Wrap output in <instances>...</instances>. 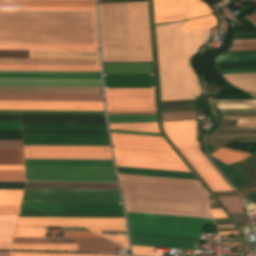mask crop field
I'll return each instance as SVG.
<instances>
[{
	"instance_id": "19",
	"label": "crop field",
	"mask_w": 256,
	"mask_h": 256,
	"mask_svg": "<svg viewBox=\"0 0 256 256\" xmlns=\"http://www.w3.org/2000/svg\"><path fill=\"white\" fill-rule=\"evenodd\" d=\"M115 158L183 164L174 151L113 146Z\"/></svg>"
},
{
	"instance_id": "3",
	"label": "crop field",
	"mask_w": 256,
	"mask_h": 256,
	"mask_svg": "<svg viewBox=\"0 0 256 256\" xmlns=\"http://www.w3.org/2000/svg\"><path fill=\"white\" fill-rule=\"evenodd\" d=\"M99 9L103 61H152L147 2Z\"/></svg>"
},
{
	"instance_id": "88",
	"label": "crop field",
	"mask_w": 256,
	"mask_h": 256,
	"mask_svg": "<svg viewBox=\"0 0 256 256\" xmlns=\"http://www.w3.org/2000/svg\"><path fill=\"white\" fill-rule=\"evenodd\" d=\"M211 201H215V200H211Z\"/></svg>"
},
{
	"instance_id": "64",
	"label": "crop field",
	"mask_w": 256,
	"mask_h": 256,
	"mask_svg": "<svg viewBox=\"0 0 256 256\" xmlns=\"http://www.w3.org/2000/svg\"><path fill=\"white\" fill-rule=\"evenodd\" d=\"M132 248H133L134 254L154 255V256H160L161 254V253H152V249H155V248L137 247V246H132Z\"/></svg>"
},
{
	"instance_id": "1",
	"label": "crop field",
	"mask_w": 256,
	"mask_h": 256,
	"mask_svg": "<svg viewBox=\"0 0 256 256\" xmlns=\"http://www.w3.org/2000/svg\"><path fill=\"white\" fill-rule=\"evenodd\" d=\"M211 30L184 31L183 22L156 26L161 101L202 95L190 60L209 39Z\"/></svg>"
},
{
	"instance_id": "32",
	"label": "crop field",
	"mask_w": 256,
	"mask_h": 256,
	"mask_svg": "<svg viewBox=\"0 0 256 256\" xmlns=\"http://www.w3.org/2000/svg\"><path fill=\"white\" fill-rule=\"evenodd\" d=\"M117 166L190 172L185 165L115 159Z\"/></svg>"
},
{
	"instance_id": "6",
	"label": "crop field",
	"mask_w": 256,
	"mask_h": 256,
	"mask_svg": "<svg viewBox=\"0 0 256 256\" xmlns=\"http://www.w3.org/2000/svg\"><path fill=\"white\" fill-rule=\"evenodd\" d=\"M123 196L208 203L203 187L120 180Z\"/></svg>"
},
{
	"instance_id": "17",
	"label": "crop field",
	"mask_w": 256,
	"mask_h": 256,
	"mask_svg": "<svg viewBox=\"0 0 256 256\" xmlns=\"http://www.w3.org/2000/svg\"><path fill=\"white\" fill-rule=\"evenodd\" d=\"M155 16L190 12L188 19L210 15L211 8L200 0H154Z\"/></svg>"
},
{
	"instance_id": "72",
	"label": "crop field",
	"mask_w": 256,
	"mask_h": 256,
	"mask_svg": "<svg viewBox=\"0 0 256 256\" xmlns=\"http://www.w3.org/2000/svg\"><path fill=\"white\" fill-rule=\"evenodd\" d=\"M232 216L237 222L247 221V219L245 218V213L232 214Z\"/></svg>"
},
{
	"instance_id": "84",
	"label": "crop field",
	"mask_w": 256,
	"mask_h": 256,
	"mask_svg": "<svg viewBox=\"0 0 256 256\" xmlns=\"http://www.w3.org/2000/svg\"><path fill=\"white\" fill-rule=\"evenodd\" d=\"M240 195L243 197V199L246 198V192H242V193H240Z\"/></svg>"
},
{
	"instance_id": "34",
	"label": "crop field",
	"mask_w": 256,
	"mask_h": 256,
	"mask_svg": "<svg viewBox=\"0 0 256 256\" xmlns=\"http://www.w3.org/2000/svg\"><path fill=\"white\" fill-rule=\"evenodd\" d=\"M18 216H0V249H10Z\"/></svg>"
},
{
	"instance_id": "7",
	"label": "crop field",
	"mask_w": 256,
	"mask_h": 256,
	"mask_svg": "<svg viewBox=\"0 0 256 256\" xmlns=\"http://www.w3.org/2000/svg\"><path fill=\"white\" fill-rule=\"evenodd\" d=\"M129 229L200 235L212 220L127 213Z\"/></svg>"
},
{
	"instance_id": "54",
	"label": "crop field",
	"mask_w": 256,
	"mask_h": 256,
	"mask_svg": "<svg viewBox=\"0 0 256 256\" xmlns=\"http://www.w3.org/2000/svg\"><path fill=\"white\" fill-rule=\"evenodd\" d=\"M197 111L163 113V121L196 119Z\"/></svg>"
},
{
	"instance_id": "29",
	"label": "crop field",
	"mask_w": 256,
	"mask_h": 256,
	"mask_svg": "<svg viewBox=\"0 0 256 256\" xmlns=\"http://www.w3.org/2000/svg\"><path fill=\"white\" fill-rule=\"evenodd\" d=\"M104 74L152 73V63H103Z\"/></svg>"
},
{
	"instance_id": "49",
	"label": "crop field",
	"mask_w": 256,
	"mask_h": 256,
	"mask_svg": "<svg viewBox=\"0 0 256 256\" xmlns=\"http://www.w3.org/2000/svg\"><path fill=\"white\" fill-rule=\"evenodd\" d=\"M23 190H0V195H22ZM22 196H0V206H20Z\"/></svg>"
},
{
	"instance_id": "65",
	"label": "crop field",
	"mask_w": 256,
	"mask_h": 256,
	"mask_svg": "<svg viewBox=\"0 0 256 256\" xmlns=\"http://www.w3.org/2000/svg\"><path fill=\"white\" fill-rule=\"evenodd\" d=\"M254 49H256V43H244V44H235V46H232L230 51L254 50Z\"/></svg>"
},
{
	"instance_id": "23",
	"label": "crop field",
	"mask_w": 256,
	"mask_h": 256,
	"mask_svg": "<svg viewBox=\"0 0 256 256\" xmlns=\"http://www.w3.org/2000/svg\"><path fill=\"white\" fill-rule=\"evenodd\" d=\"M0 85L101 86V79L0 78Z\"/></svg>"
},
{
	"instance_id": "51",
	"label": "crop field",
	"mask_w": 256,
	"mask_h": 256,
	"mask_svg": "<svg viewBox=\"0 0 256 256\" xmlns=\"http://www.w3.org/2000/svg\"><path fill=\"white\" fill-rule=\"evenodd\" d=\"M230 213L244 212L242 202L238 196L218 197Z\"/></svg>"
},
{
	"instance_id": "75",
	"label": "crop field",
	"mask_w": 256,
	"mask_h": 256,
	"mask_svg": "<svg viewBox=\"0 0 256 256\" xmlns=\"http://www.w3.org/2000/svg\"><path fill=\"white\" fill-rule=\"evenodd\" d=\"M248 21H250L252 23L253 26L256 27V11L254 13H252L251 15H249L247 18Z\"/></svg>"
},
{
	"instance_id": "18",
	"label": "crop field",
	"mask_w": 256,
	"mask_h": 256,
	"mask_svg": "<svg viewBox=\"0 0 256 256\" xmlns=\"http://www.w3.org/2000/svg\"><path fill=\"white\" fill-rule=\"evenodd\" d=\"M76 241V242H47ZM14 243H78L77 251L115 253L123 247L104 238H15Z\"/></svg>"
},
{
	"instance_id": "30",
	"label": "crop field",
	"mask_w": 256,
	"mask_h": 256,
	"mask_svg": "<svg viewBox=\"0 0 256 256\" xmlns=\"http://www.w3.org/2000/svg\"><path fill=\"white\" fill-rule=\"evenodd\" d=\"M25 188L118 189L116 183H27Z\"/></svg>"
},
{
	"instance_id": "15",
	"label": "crop field",
	"mask_w": 256,
	"mask_h": 256,
	"mask_svg": "<svg viewBox=\"0 0 256 256\" xmlns=\"http://www.w3.org/2000/svg\"><path fill=\"white\" fill-rule=\"evenodd\" d=\"M3 110L104 111L103 102L0 101Z\"/></svg>"
},
{
	"instance_id": "80",
	"label": "crop field",
	"mask_w": 256,
	"mask_h": 256,
	"mask_svg": "<svg viewBox=\"0 0 256 256\" xmlns=\"http://www.w3.org/2000/svg\"><path fill=\"white\" fill-rule=\"evenodd\" d=\"M244 161L250 162L252 163L254 166H256V163H254L251 159H249L248 157L246 159H244Z\"/></svg>"
},
{
	"instance_id": "47",
	"label": "crop field",
	"mask_w": 256,
	"mask_h": 256,
	"mask_svg": "<svg viewBox=\"0 0 256 256\" xmlns=\"http://www.w3.org/2000/svg\"><path fill=\"white\" fill-rule=\"evenodd\" d=\"M23 129L107 130L106 126L22 125Z\"/></svg>"
},
{
	"instance_id": "16",
	"label": "crop field",
	"mask_w": 256,
	"mask_h": 256,
	"mask_svg": "<svg viewBox=\"0 0 256 256\" xmlns=\"http://www.w3.org/2000/svg\"><path fill=\"white\" fill-rule=\"evenodd\" d=\"M0 3L95 4V1L0 0ZM0 4V10L96 11L95 5Z\"/></svg>"
},
{
	"instance_id": "52",
	"label": "crop field",
	"mask_w": 256,
	"mask_h": 256,
	"mask_svg": "<svg viewBox=\"0 0 256 256\" xmlns=\"http://www.w3.org/2000/svg\"><path fill=\"white\" fill-rule=\"evenodd\" d=\"M218 70L256 68V61L217 63Z\"/></svg>"
},
{
	"instance_id": "37",
	"label": "crop field",
	"mask_w": 256,
	"mask_h": 256,
	"mask_svg": "<svg viewBox=\"0 0 256 256\" xmlns=\"http://www.w3.org/2000/svg\"><path fill=\"white\" fill-rule=\"evenodd\" d=\"M22 120H105L104 115H22Z\"/></svg>"
},
{
	"instance_id": "2",
	"label": "crop field",
	"mask_w": 256,
	"mask_h": 256,
	"mask_svg": "<svg viewBox=\"0 0 256 256\" xmlns=\"http://www.w3.org/2000/svg\"><path fill=\"white\" fill-rule=\"evenodd\" d=\"M0 42L98 43L96 13L0 12Z\"/></svg>"
},
{
	"instance_id": "44",
	"label": "crop field",
	"mask_w": 256,
	"mask_h": 256,
	"mask_svg": "<svg viewBox=\"0 0 256 256\" xmlns=\"http://www.w3.org/2000/svg\"><path fill=\"white\" fill-rule=\"evenodd\" d=\"M0 170H24V166H0ZM0 181H25L24 171H0Z\"/></svg>"
},
{
	"instance_id": "4",
	"label": "crop field",
	"mask_w": 256,
	"mask_h": 256,
	"mask_svg": "<svg viewBox=\"0 0 256 256\" xmlns=\"http://www.w3.org/2000/svg\"><path fill=\"white\" fill-rule=\"evenodd\" d=\"M19 217L124 218L121 204L22 203Z\"/></svg>"
},
{
	"instance_id": "46",
	"label": "crop field",
	"mask_w": 256,
	"mask_h": 256,
	"mask_svg": "<svg viewBox=\"0 0 256 256\" xmlns=\"http://www.w3.org/2000/svg\"><path fill=\"white\" fill-rule=\"evenodd\" d=\"M109 123L156 121V115H108Z\"/></svg>"
},
{
	"instance_id": "77",
	"label": "crop field",
	"mask_w": 256,
	"mask_h": 256,
	"mask_svg": "<svg viewBox=\"0 0 256 256\" xmlns=\"http://www.w3.org/2000/svg\"><path fill=\"white\" fill-rule=\"evenodd\" d=\"M247 199H249V200H251L252 202L256 203V192L249 193Z\"/></svg>"
},
{
	"instance_id": "9",
	"label": "crop field",
	"mask_w": 256,
	"mask_h": 256,
	"mask_svg": "<svg viewBox=\"0 0 256 256\" xmlns=\"http://www.w3.org/2000/svg\"><path fill=\"white\" fill-rule=\"evenodd\" d=\"M24 194L119 195L118 190L25 189ZM22 202L121 203L119 196L24 195Z\"/></svg>"
},
{
	"instance_id": "39",
	"label": "crop field",
	"mask_w": 256,
	"mask_h": 256,
	"mask_svg": "<svg viewBox=\"0 0 256 256\" xmlns=\"http://www.w3.org/2000/svg\"><path fill=\"white\" fill-rule=\"evenodd\" d=\"M118 175H119L120 179H125V180H137V181H149V182H161V183H173V184L201 186L198 181H192V180H180V179L157 178V177L123 175V174H118Z\"/></svg>"
},
{
	"instance_id": "42",
	"label": "crop field",
	"mask_w": 256,
	"mask_h": 256,
	"mask_svg": "<svg viewBox=\"0 0 256 256\" xmlns=\"http://www.w3.org/2000/svg\"><path fill=\"white\" fill-rule=\"evenodd\" d=\"M221 172L230 180L234 187L241 186L240 183H245L238 171L230 165H226L217 159L209 156Z\"/></svg>"
},
{
	"instance_id": "55",
	"label": "crop field",
	"mask_w": 256,
	"mask_h": 256,
	"mask_svg": "<svg viewBox=\"0 0 256 256\" xmlns=\"http://www.w3.org/2000/svg\"><path fill=\"white\" fill-rule=\"evenodd\" d=\"M4 74H68V75H100V72H36V71H0Z\"/></svg>"
},
{
	"instance_id": "8",
	"label": "crop field",
	"mask_w": 256,
	"mask_h": 256,
	"mask_svg": "<svg viewBox=\"0 0 256 256\" xmlns=\"http://www.w3.org/2000/svg\"><path fill=\"white\" fill-rule=\"evenodd\" d=\"M127 211L212 219L208 204L123 197Z\"/></svg>"
},
{
	"instance_id": "67",
	"label": "crop field",
	"mask_w": 256,
	"mask_h": 256,
	"mask_svg": "<svg viewBox=\"0 0 256 256\" xmlns=\"http://www.w3.org/2000/svg\"><path fill=\"white\" fill-rule=\"evenodd\" d=\"M0 148H22V141H0Z\"/></svg>"
},
{
	"instance_id": "76",
	"label": "crop field",
	"mask_w": 256,
	"mask_h": 256,
	"mask_svg": "<svg viewBox=\"0 0 256 256\" xmlns=\"http://www.w3.org/2000/svg\"><path fill=\"white\" fill-rule=\"evenodd\" d=\"M107 114H156V112L107 113Z\"/></svg>"
},
{
	"instance_id": "50",
	"label": "crop field",
	"mask_w": 256,
	"mask_h": 256,
	"mask_svg": "<svg viewBox=\"0 0 256 256\" xmlns=\"http://www.w3.org/2000/svg\"><path fill=\"white\" fill-rule=\"evenodd\" d=\"M216 27L214 15L185 22V30Z\"/></svg>"
},
{
	"instance_id": "22",
	"label": "crop field",
	"mask_w": 256,
	"mask_h": 256,
	"mask_svg": "<svg viewBox=\"0 0 256 256\" xmlns=\"http://www.w3.org/2000/svg\"><path fill=\"white\" fill-rule=\"evenodd\" d=\"M164 130L176 147L199 145L196 140L197 121L163 123Z\"/></svg>"
},
{
	"instance_id": "48",
	"label": "crop field",
	"mask_w": 256,
	"mask_h": 256,
	"mask_svg": "<svg viewBox=\"0 0 256 256\" xmlns=\"http://www.w3.org/2000/svg\"><path fill=\"white\" fill-rule=\"evenodd\" d=\"M110 129L159 133L157 123L109 125Z\"/></svg>"
},
{
	"instance_id": "73",
	"label": "crop field",
	"mask_w": 256,
	"mask_h": 256,
	"mask_svg": "<svg viewBox=\"0 0 256 256\" xmlns=\"http://www.w3.org/2000/svg\"><path fill=\"white\" fill-rule=\"evenodd\" d=\"M135 1H147V0H99V3H111V2H135Z\"/></svg>"
},
{
	"instance_id": "13",
	"label": "crop field",
	"mask_w": 256,
	"mask_h": 256,
	"mask_svg": "<svg viewBox=\"0 0 256 256\" xmlns=\"http://www.w3.org/2000/svg\"><path fill=\"white\" fill-rule=\"evenodd\" d=\"M130 231L132 245L164 247L175 249H193L194 244L200 236L146 232V231Z\"/></svg>"
},
{
	"instance_id": "40",
	"label": "crop field",
	"mask_w": 256,
	"mask_h": 256,
	"mask_svg": "<svg viewBox=\"0 0 256 256\" xmlns=\"http://www.w3.org/2000/svg\"><path fill=\"white\" fill-rule=\"evenodd\" d=\"M77 244H14L12 249L20 250H72Z\"/></svg>"
},
{
	"instance_id": "38",
	"label": "crop field",
	"mask_w": 256,
	"mask_h": 256,
	"mask_svg": "<svg viewBox=\"0 0 256 256\" xmlns=\"http://www.w3.org/2000/svg\"><path fill=\"white\" fill-rule=\"evenodd\" d=\"M26 164L113 165L112 160H25Z\"/></svg>"
},
{
	"instance_id": "45",
	"label": "crop field",
	"mask_w": 256,
	"mask_h": 256,
	"mask_svg": "<svg viewBox=\"0 0 256 256\" xmlns=\"http://www.w3.org/2000/svg\"><path fill=\"white\" fill-rule=\"evenodd\" d=\"M29 227H72V226H29ZM85 228L91 231L97 232L99 234H101V231H126L125 227H85ZM105 237L119 244L125 245L129 248L127 237H124V236H105Z\"/></svg>"
},
{
	"instance_id": "24",
	"label": "crop field",
	"mask_w": 256,
	"mask_h": 256,
	"mask_svg": "<svg viewBox=\"0 0 256 256\" xmlns=\"http://www.w3.org/2000/svg\"><path fill=\"white\" fill-rule=\"evenodd\" d=\"M113 145L172 150L163 137L111 133Z\"/></svg>"
},
{
	"instance_id": "11",
	"label": "crop field",
	"mask_w": 256,
	"mask_h": 256,
	"mask_svg": "<svg viewBox=\"0 0 256 256\" xmlns=\"http://www.w3.org/2000/svg\"><path fill=\"white\" fill-rule=\"evenodd\" d=\"M25 159H112L109 147L24 146Z\"/></svg>"
},
{
	"instance_id": "20",
	"label": "crop field",
	"mask_w": 256,
	"mask_h": 256,
	"mask_svg": "<svg viewBox=\"0 0 256 256\" xmlns=\"http://www.w3.org/2000/svg\"><path fill=\"white\" fill-rule=\"evenodd\" d=\"M0 100L103 101L102 94L0 93Z\"/></svg>"
},
{
	"instance_id": "62",
	"label": "crop field",
	"mask_w": 256,
	"mask_h": 256,
	"mask_svg": "<svg viewBox=\"0 0 256 256\" xmlns=\"http://www.w3.org/2000/svg\"><path fill=\"white\" fill-rule=\"evenodd\" d=\"M0 140H22L21 131H0Z\"/></svg>"
},
{
	"instance_id": "81",
	"label": "crop field",
	"mask_w": 256,
	"mask_h": 256,
	"mask_svg": "<svg viewBox=\"0 0 256 256\" xmlns=\"http://www.w3.org/2000/svg\"><path fill=\"white\" fill-rule=\"evenodd\" d=\"M219 228H233L232 225H224V226H218Z\"/></svg>"
},
{
	"instance_id": "14",
	"label": "crop field",
	"mask_w": 256,
	"mask_h": 256,
	"mask_svg": "<svg viewBox=\"0 0 256 256\" xmlns=\"http://www.w3.org/2000/svg\"><path fill=\"white\" fill-rule=\"evenodd\" d=\"M200 146L178 148L212 191L233 190L205 157Z\"/></svg>"
},
{
	"instance_id": "28",
	"label": "crop field",
	"mask_w": 256,
	"mask_h": 256,
	"mask_svg": "<svg viewBox=\"0 0 256 256\" xmlns=\"http://www.w3.org/2000/svg\"><path fill=\"white\" fill-rule=\"evenodd\" d=\"M0 64H5V65L100 66L99 60H64V59H5V58H0Z\"/></svg>"
},
{
	"instance_id": "41",
	"label": "crop field",
	"mask_w": 256,
	"mask_h": 256,
	"mask_svg": "<svg viewBox=\"0 0 256 256\" xmlns=\"http://www.w3.org/2000/svg\"><path fill=\"white\" fill-rule=\"evenodd\" d=\"M0 165H24L22 149H0Z\"/></svg>"
},
{
	"instance_id": "12",
	"label": "crop field",
	"mask_w": 256,
	"mask_h": 256,
	"mask_svg": "<svg viewBox=\"0 0 256 256\" xmlns=\"http://www.w3.org/2000/svg\"><path fill=\"white\" fill-rule=\"evenodd\" d=\"M24 145L109 146L107 134H23Z\"/></svg>"
},
{
	"instance_id": "85",
	"label": "crop field",
	"mask_w": 256,
	"mask_h": 256,
	"mask_svg": "<svg viewBox=\"0 0 256 256\" xmlns=\"http://www.w3.org/2000/svg\"><path fill=\"white\" fill-rule=\"evenodd\" d=\"M95 256H108V255H97V254H95Z\"/></svg>"
},
{
	"instance_id": "86",
	"label": "crop field",
	"mask_w": 256,
	"mask_h": 256,
	"mask_svg": "<svg viewBox=\"0 0 256 256\" xmlns=\"http://www.w3.org/2000/svg\"><path fill=\"white\" fill-rule=\"evenodd\" d=\"M253 191H256V189H255V190H250V191H248V193H249V192H253Z\"/></svg>"
},
{
	"instance_id": "26",
	"label": "crop field",
	"mask_w": 256,
	"mask_h": 256,
	"mask_svg": "<svg viewBox=\"0 0 256 256\" xmlns=\"http://www.w3.org/2000/svg\"><path fill=\"white\" fill-rule=\"evenodd\" d=\"M105 88H153L152 74L104 75Z\"/></svg>"
},
{
	"instance_id": "31",
	"label": "crop field",
	"mask_w": 256,
	"mask_h": 256,
	"mask_svg": "<svg viewBox=\"0 0 256 256\" xmlns=\"http://www.w3.org/2000/svg\"><path fill=\"white\" fill-rule=\"evenodd\" d=\"M29 58L99 59V52L30 51Z\"/></svg>"
},
{
	"instance_id": "53",
	"label": "crop field",
	"mask_w": 256,
	"mask_h": 256,
	"mask_svg": "<svg viewBox=\"0 0 256 256\" xmlns=\"http://www.w3.org/2000/svg\"><path fill=\"white\" fill-rule=\"evenodd\" d=\"M15 237H46V229L17 227Z\"/></svg>"
},
{
	"instance_id": "61",
	"label": "crop field",
	"mask_w": 256,
	"mask_h": 256,
	"mask_svg": "<svg viewBox=\"0 0 256 256\" xmlns=\"http://www.w3.org/2000/svg\"><path fill=\"white\" fill-rule=\"evenodd\" d=\"M189 13L155 17L156 23L184 20Z\"/></svg>"
},
{
	"instance_id": "69",
	"label": "crop field",
	"mask_w": 256,
	"mask_h": 256,
	"mask_svg": "<svg viewBox=\"0 0 256 256\" xmlns=\"http://www.w3.org/2000/svg\"><path fill=\"white\" fill-rule=\"evenodd\" d=\"M211 213L214 218H227L222 209L211 210Z\"/></svg>"
},
{
	"instance_id": "59",
	"label": "crop field",
	"mask_w": 256,
	"mask_h": 256,
	"mask_svg": "<svg viewBox=\"0 0 256 256\" xmlns=\"http://www.w3.org/2000/svg\"><path fill=\"white\" fill-rule=\"evenodd\" d=\"M224 119H239L236 127H256V118L250 117H223Z\"/></svg>"
},
{
	"instance_id": "10",
	"label": "crop field",
	"mask_w": 256,
	"mask_h": 256,
	"mask_svg": "<svg viewBox=\"0 0 256 256\" xmlns=\"http://www.w3.org/2000/svg\"><path fill=\"white\" fill-rule=\"evenodd\" d=\"M107 112L156 111L154 89H105Z\"/></svg>"
},
{
	"instance_id": "56",
	"label": "crop field",
	"mask_w": 256,
	"mask_h": 256,
	"mask_svg": "<svg viewBox=\"0 0 256 256\" xmlns=\"http://www.w3.org/2000/svg\"><path fill=\"white\" fill-rule=\"evenodd\" d=\"M0 77H37V78H101L100 76H68V75H4Z\"/></svg>"
},
{
	"instance_id": "68",
	"label": "crop field",
	"mask_w": 256,
	"mask_h": 256,
	"mask_svg": "<svg viewBox=\"0 0 256 256\" xmlns=\"http://www.w3.org/2000/svg\"><path fill=\"white\" fill-rule=\"evenodd\" d=\"M20 207H0V215H18Z\"/></svg>"
},
{
	"instance_id": "66",
	"label": "crop field",
	"mask_w": 256,
	"mask_h": 256,
	"mask_svg": "<svg viewBox=\"0 0 256 256\" xmlns=\"http://www.w3.org/2000/svg\"><path fill=\"white\" fill-rule=\"evenodd\" d=\"M64 237H100L92 232H65Z\"/></svg>"
},
{
	"instance_id": "33",
	"label": "crop field",
	"mask_w": 256,
	"mask_h": 256,
	"mask_svg": "<svg viewBox=\"0 0 256 256\" xmlns=\"http://www.w3.org/2000/svg\"><path fill=\"white\" fill-rule=\"evenodd\" d=\"M118 173L196 180L192 173L117 167Z\"/></svg>"
},
{
	"instance_id": "71",
	"label": "crop field",
	"mask_w": 256,
	"mask_h": 256,
	"mask_svg": "<svg viewBox=\"0 0 256 256\" xmlns=\"http://www.w3.org/2000/svg\"><path fill=\"white\" fill-rule=\"evenodd\" d=\"M222 74H232V73H250L256 72L255 70H233V71H220Z\"/></svg>"
},
{
	"instance_id": "27",
	"label": "crop field",
	"mask_w": 256,
	"mask_h": 256,
	"mask_svg": "<svg viewBox=\"0 0 256 256\" xmlns=\"http://www.w3.org/2000/svg\"><path fill=\"white\" fill-rule=\"evenodd\" d=\"M0 92L98 93V87L0 86ZM99 93H102L101 87H99Z\"/></svg>"
},
{
	"instance_id": "70",
	"label": "crop field",
	"mask_w": 256,
	"mask_h": 256,
	"mask_svg": "<svg viewBox=\"0 0 256 256\" xmlns=\"http://www.w3.org/2000/svg\"><path fill=\"white\" fill-rule=\"evenodd\" d=\"M221 113H256V110H220Z\"/></svg>"
},
{
	"instance_id": "58",
	"label": "crop field",
	"mask_w": 256,
	"mask_h": 256,
	"mask_svg": "<svg viewBox=\"0 0 256 256\" xmlns=\"http://www.w3.org/2000/svg\"><path fill=\"white\" fill-rule=\"evenodd\" d=\"M246 60H256V55H233V56H220L217 58V62L246 61Z\"/></svg>"
},
{
	"instance_id": "63",
	"label": "crop field",
	"mask_w": 256,
	"mask_h": 256,
	"mask_svg": "<svg viewBox=\"0 0 256 256\" xmlns=\"http://www.w3.org/2000/svg\"><path fill=\"white\" fill-rule=\"evenodd\" d=\"M0 130H21L20 121H0Z\"/></svg>"
},
{
	"instance_id": "78",
	"label": "crop field",
	"mask_w": 256,
	"mask_h": 256,
	"mask_svg": "<svg viewBox=\"0 0 256 256\" xmlns=\"http://www.w3.org/2000/svg\"><path fill=\"white\" fill-rule=\"evenodd\" d=\"M243 42H256V40L234 41V43H243Z\"/></svg>"
},
{
	"instance_id": "57",
	"label": "crop field",
	"mask_w": 256,
	"mask_h": 256,
	"mask_svg": "<svg viewBox=\"0 0 256 256\" xmlns=\"http://www.w3.org/2000/svg\"><path fill=\"white\" fill-rule=\"evenodd\" d=\"M0 113H63V114H104V112H70V111H2Z\"/></svg>"
},
{
	"instance_id": "60",
	"label": "crop field",
	"mask_w": 256,
	"mask_h": 256,
	"mask_svg": "<svg viewBox=\"0 0 256 256\" xmlns=\"http://www.w3.org/2000/svg\"><path fill=\"white\" fill-rule=\"evenodd\" d=\"M11 256H93V254H41L12 252Z\"/></svg>"
},
{
	"instance_id": "25",
	"label": "crop field",
	"mask_w": 256,
	"mask_h": 256,
	"mask_svg": "<svg viewBox=\"0 0 256 256\" xmlns=\"http://www.w3.org/2000/svg\"><path fill=\"white\" fill-rule=\"evenodd\" d=\"M0 49H5V50L99 51L98 44L0 43Z\"/></svg>"
},
{
	"instance_id": "21",
	"label": "crop field",
	"mask_w": 256,
	"mask_h": 256,
	"mask_svg": "<svg viewBox=\"0 0 256 256\" xmlns=\"http://www.w3.org/2000/svg\"><path fill=\"white\" fill-rule=\"evenodd\" d=\"M18 225L125 226L124 219L19 218Z\"/></svg>"
},
{
	"instance_id": "79",
	"label": "crop field",
	"mask_w": 256,
	"mask_h": 256,
	"mask_svg": "<svg viewBox=\"0 0 256 256\" xmlns=\"http://www.w3.org/2000/svg\"><path fill=\"white\" fill-rule=\"evenodd\" d=\"M0 256H10V252H0Z\"/></svg>"
},
{
	"instance_id": "36",
	"label": "crop field",
	"mask_w": 256,
	"mask_h": 256,
	"mask_svg": "<svg viewBox=\"0 0 256 256\" xmlns=\"http://www.w3.org/2000/svg\"><path fill=\"white\" fill-rule=\"evenodd\" d=\"M234 86L244 91H256V73L224 75Z\"/></svg>"
},
{
	"instance_id": "83",
	"label": "crop field",
	"mask_w": 256,
	"mask_h": 256,
	"mask_svg": "<svg viewBox=\"0 0 256 256\" xmlns=\"http://www.w3.org/2000/svg\"><path fill=\"white\" fill-rule=\"evenodd\" d=\"M223 246H227V245H239V243H228V244H222Z\"/></svg>"
},
{
	"instance_id": "74",
	"label": "crop field",
	"mask_w": 256,
	"mask_h": 256,
	"mask_svg": "<svg viewBox=\"0 0 256 256\" xmlns=\"http://www.w3.org/2000/svg\"><path fill=\"white\" fill-rule=\"evenodd\" d=\"M111 132H117V133H130V134H143V135H156L161 136V134H154V133H141V132H129V131H116V130H110Z\"/></svg>"
},
{
	"instance_id": "5",
	"label": "crop field",
	"mask_w": 256,
	"mask_h": 256,
	"mask_svg": "<svg viewBox=\"0 0 256 256\" xmlns=\"http://www.w3.org/2000/svg\"><path fill=\"white\" fill-rule=\"evenodd\" d=\"M27 181L116 182L113 166L26 165Z\"/></svg>"
},
{
	"instance_id": "43",
	"label": "crop field",
	"mask_w": 256,
	"mask_h": 256,
	"mask_svg": "<svg viewBox=\"0 0 256 256\" xmlns=\"http://www.w3.org/2000/svg\"><path fill=\"white\" fill-rule=\"evenodd\" d=\"M249 155L250 154L221 147L217 152H215L211 156L219 159L220 161L226 164H231L233 162L241 161Z\"/></svg>"
},
{
	"instance_id": "82",
	"label": "crop field",
	"mask_w": 256,
	"mask_h": 256,
	"mask_svg": "<svg viewBox=\"0 0 256 256\" xmlns=\"http://www.w3.org/2000/svg\"><path fill=\"white\" fill-rule=\"evenodd\" d=\"M220 235L237 234L236 232L219 233Z\"/></svg>"
},
{
	"instance_id": "35",
	"label": "crop field",
	"mask_w": 256,
	"mask_h": 256,
	"mask_svg": "<svg viewBox=\"0 0 256 256\" xmlns=\"http://www.w3.org/2000/svg\"><path fill=\"white\" fill-rule=\"evenodd\" d=\"M0 70H36V71H100V67H68V66H4Z\"/></svg>"
},
{
	"instance_id": "87",
	"label": "crop field",
	"mask_w": 256,
	"mask_h": 256,
	"mask_svg": "<svg viewBox=\"0 0 256 256\" xmlns=\"http://www.w3.org/2000/svg\"><path fill=\"white\" fill-rule=\"evenodd\" d=\"M209 203H216V202H209Z\"/></svg>"
}]
</instances>
